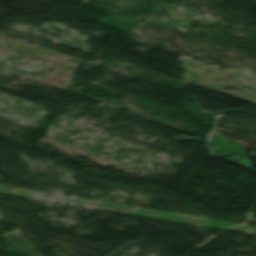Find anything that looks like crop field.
Returning a JSON list of instances; mask_svg holds the SVG:
<instances>
[{"mask_svg":"<svg viewBox=\"0 0 256 256\" xmlns=\"http://www.w3.org/2000/svg\"><path fill=\"white\" fill-rule=\"evenodd\" d=\"M178 138H187V139H196V140L205 141L204 139H201V138H198V137L180 136V137H176L175 139H178Z\"/></svg>","mask_w":256,"mask_h":256,"instance_id":"412701ff","label":"crop field"},{"mask_svg":"<svg viewBox=\"0 0 256 256\" xmlns=\"http://www.w3.org/2000/svg\"><path fill=\"white\" fill-rule=\"evenodd\" d=\"M212 141H216V142H219V143H222V144H226V145H229V146H232V147H235L237 149L241 148V144H237V143H232L230 140H228L227 138L219 135V134H216L214 136V138L212 139Z\"/></svg>","mask_w":256,"mask_h":256,"instance_id":"8a807250","label":"crop field"},{"mask_svg":"<svg viewBox=\"0 0 256 256\" xmlns=\"http://www.w3.org/2000/svg\"><path fill=\"white\" fill-rule=\"evenodd\" d=\"M210 142L222 146L218 150V152L222 153V155H224V156H229L230 153L240 154L242 152L240 150L234 149V148L229 147V146H225V145H222V144H219V143H215V142H212V141H210Z\"/></svg>","mask_w":256,"mask_h":256,"instance_id":"ac0d7876","label":"crop field"},{"mask_svg":"<svg viewBox=\"0 0 256 256\" xmlns=\"http://www.w3.org/2000/svg\"><path fill=\"white\" fill-rule=\"evenodd\" d=\"M240 161H241V162H240L239 164H242V165H244V166L253 168L252 165H253L254 163H250L251 161H249V160H243V159H240ZM253 169H255V168H253Z\"/></svg>","mask_w":256,"mask_h":256,"instance_id":"34b2d1b8","label":"crop field"}]
</instances>
